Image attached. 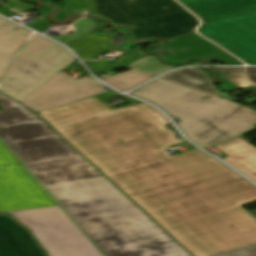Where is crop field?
Returning <instances> with one entry per match:
<instances>
[{
    "mask_svg": "<svg viewBox=\"0 0 256 256\" xmlns=\"http://www.w3.org/2000/svg\"><path fill=\"white\" fill-rule=\"evenodd\" d=\"M108 92L38 113L193 256H216L256 245V218L239 205L256 187L195 149L168 156L183 143L151 106L110 108Z\"/></svg>",
    "mask_w": 256,
    "mask_h": 256,
    "instance_id": "8a807250",
    "label": "crop field"
},
{
    "mask_svg": "<svg viewBox=\"0 0 256 256\" xmlns=\"http://www.w3.org/2000/svg\"><path fill=\"white\" fill-rule=\"evenodd\" d=\"M0 104V139L106 256H189L33 111Z\"/></svg>",
    "mask_w": 256,
    "mask_h": 256,
    "instance_id": "ac0d7876",
    "label": "crop field"
},
{
    "mask_svg": "<svg viewBox=\"0 0 256 256\" xmlns=\"http://www.w3.org/2000/svg\"><path fill=\"white\" fill-rule=\"evenodd\" d=\"M0 211L29 227L49 256H103L1 142Z\"/></svg>",
    "mask_w": 256,
    "mask_h": 256,
    "instance_id": "34b2d1b8",
    "label": "crop field"
},
{
    "mask_svg": "<svg viewBox=\"0 0 256 256\" xmlns=\"http://www.w3.org/2000/svg\"><path fill=\"white\" fill-rule=\"evenodd\" d=\"M129 94L178 118L176 125L202 148L239 136L256 125V111L252 109L160 78Z\"/></svg>",
    "mask_w": 256,
    "mask_h": 256,
    "instance_id": "412701ff",
    "label": "crop field"
},
{
    "mask_svg": "<svg viewBox=\"0 0 256 256\" xmlns=\"http://www.w3.org/2000/svg\"><path fill=\"white\" fill-rule=\"evenodd\" d=\"M94 12L112 25L129 24L138 37H174L194 32L198 20L174 0H93Z\"/></svg>",
    "mask_w": 256,
    "mask_h": 256,
    "instance_id": "f4fd0767",
    "label": "crop field"
},
{
    "mask_svg": "<svg viewBox=\"0 0 256 256\" xmlns=\"http://www.w3.org/2000/svg\"><path fill=\"white\" fill-rule=\"evenodd\" d=\"M74 60L66 49L34 33L1 80L0 92L19 101Z\"/></svg>",
    "mask_w": 256,
    "mask_h": 256,
    "instance_id": "dd49c442",
    "label": "crop field"
},
{
    "mask_svg": "<svg viewBox=\"0 0 256 256\" xmlns=\"http://www.w3.org/2000/svg\"><path fill=\"white\" fill-rule=\"evenodd\" d=\"M249 65H256V11L206 21L198 29Z\"/></svg>",
    "mask_w": 256,
    "mask_h": 256,
    "instance_id": "e52e79f7",
    "label": "crop field"
},
{
    "mask_svg": "<svg viewBox=\"0 0 256 256\" xmlns=\"http://www.w3.org/2000/svg\"><path fill=\"white\" fill-rule=\"evenodd\" d=\"M102 87L104 85L90 76L77 80L61 71L19 102L38 113L105 92Z\"/></svg>",
    "mask_w": 256,
    "mask_h": 256,
    "instance_id": "d8731c3e",
    "label": "crop field"
},
{
    "mask_svg": "<svg viewBox=\"0 0 256 256\" xmlns=\"http://www.w3.org/2000/svg\"><path fill=\"white\" fill-rule=\"evenodd\" d=\"M0 256H46L27 229L0 213Z\"/></svg>",
    "mask_w": 256,
    "mask_h": 256,
    "instance_id": "5a996713",
    "label": "crop field"
},
{
    "mask_svg": "<svg viewBox=\"0 0 256 256\" xmlns=\"http://www.w3.org/2000/svg\"><path fill=\"white\" fill-rule=\"evenodd\" d=\"M203 21L256 10V0H178Z\"/></svg>",
    "mask_w": 256,
    "mask_h": 256,
    "instance_id": "3316defc",
    "label": "crop field"
},
{
    "mask_svg": "<svg viewBox=\"0 0 256 256\" xmlns=\"http://www.w3.org/2000/svg\"><path fill=\"white\" fill-rule=\"evenodd\" d=\"M166 48L180 57H203L227 64H242L240 61L197 34L177 38L172 45L166 46Z\"/></svg>",
    "mask_w": 256,
    "mask_h": 256,
    "instance_id": "28ad6ade",
    "label": "crop field"
},
{
    "mask_svg": "<svg viewBox=\"0 0 256 256\" xmlns=\"http://www.w3.org/2000/svg\"><path fill=\"white\" fill-rule=\"evenodd\" d=\"M215 148L229 157L223 159L256 182V148L241 138L217 145Z\"/></svg>",
    "mask_w": 256,
    "mask_h": 256,
    "instance_id": "d1516ede",
    "label": "crop field"
},
{
    "mask_svg": "<svg viewBox=\"0 0 256 256\" xmlns=\"http://www.w3.org/2000/svg\"><path fill=\"white\" fill-rule=\"evenodd\" d=\"M29 33L30 31L0 18V76Z\"/></svg>",
    "mask_w": 256,
    "mask_h": 256,
    "instance_id": "22f410ed",
    "label": "crop field"
},
{
    "mask_svg": "<svg viewBox=\"0 0 256 256\" xmlns=\"http://www.w3.org/2000/svg\"><path fill=\"white\" fill-rule=\"evenodd\" d=\"M114 33L107 37H100L89 34L74 41H71L65 45L73 49L80 59H91L99 56L105 52L112 51V45L110 44Z\"/></svg>",
    "mask_w": 256,
    "mask_h": 256,
    "instance_id": "cbeb9de0",
    "label": "crop field"
},
{
    "mask_svg": "<svg viewBox=\"0 0 256 256\" xmlns=\"http://www.w3.org/2000/svg\"><path fill=\"white\" fill-rule=\"evenodd\" d=\"M160 78L167 79L179 84H183L195 89H199L211 94L220 96L211 85L206 75L198 70H192L190 68H183L175 70Z\"/></svg>",
    "mask_w": 256,
    "mask_h": 256,
    "instance_id": "5142ce71",
    "label": "crop field"
},
{
    "mask_svg": "<svg viewBox=\"0 0 256 256\" xmlns=\"http://www.w3.org/2000/svg\"><path fill=\"white\" fill-rule=\"evenodd\" d=\"M152 78L154 77L129 70L102 80L121 91H127Z\"/></svg>",
    "mask_w": 256,
    "mask_h": 256,
    "instance_id": "d9b57169",
    "label": "crop field"
},
{
    "mask_svg": "<svg viewBox=\"0 0 256 256\" xmlns=\"http://www.w3.org/2000/svg\"><path fill=\"white\" fill-rule=\"evenodd\" d=\"M125 68L133 69L136 71H140L146 74H150L153 76H158L159 74L173 68L170 66H166L162 64L156 57L154 56H145Z\"/></svg>",
    "mask_w": 256,
    "mask_h": 256,
    "instance_id": "733c2abd",
    "label": "crop field"
},
{
    "mask_svg": "<svg viewBox=\"0 0 256 256\" xmlns=\"http://www.w3.org/2000/svg\"><path fill=\"white\" fill-rule=\"evenodd\" d=\"M143 57L142 50L137 48L133 52H131L129 55H127L124 59L119 60L113 64L100 62V61H83L84 64L88 67V69L92 72L104 67L97 73H101L119 66L127 65L139 58Z\"/></svg>",
    "mask_w": 256,
    "mask_h": 256,
    "instance_id": "4a817a6b",
    "label": "crop field"
},
{
    "mask_svg": "<svg viewBox=\"0 0 256 256\" xmlns=\"http://www.w3.org/2000/svg\"><path fill=\"white\" fill-rule=\"evenodd\" d=\"M226 78L238 87L254 86L246 78L243 68L218 67Z\"/></svg>",
    "mask_w": 256,
    "mask_h": 256,
    "instance_id": "bc2a9ffb",
    "label": "crop field"
},
{
    "mask_svg": "<svg viewBox=\"0 0 256 256\" xmlns=\"http://www.w3.org/2000/svg\"><path fill=\"white\" fill-rule=\"evenodd\" d=\"M33 7L34 4L24 3L20 0H7L6 3L0 5V14L8 17L10 13L30 10Z\"/></svg>",
    "mask_w": 256,
    "mask_h": 256,
    "instance_id": "214f88e0",
    "label": "crop field"
},
{
    "mask_svg": "<svg viewBox=\"0 0 256 256\" xmlns=\"http://www.w3.org/2000/svg\"><path fill=\"white\" fill-rule=\"evenodd\" d=\"M25 25L42 33L51 24L48 23L45 18H35V20H33Z\"/></svg>",
    "mask_w": 256,
    "mask_h": 256,
    "instance_id": "92a150f3",
    "label": "crop field"
},
{
    "mask_svg": "<svg viewBox=\"0 0 256 256\" xmlns=\"http://www.w3.org/2000/svg\"><path fill=\"white\" fill-rule=\"evenodd\" d=\"M219 256H256V246L238 250L235 252L219 255Z\"/></svg>",
    "mask_w": 256,
    "mask_h": 256,
    "instance_id": "dafd665d",
    "label": "crop field"
},
{
    "mask_svg": "<svg viewBox=\"0 0 256 256\" xmlns=\"http://www.w3.org/2000/svg\"><path fill=\"white\" fill-rule=\"evenodd\" d=\"M163 49L165 51H167L168 53H167V55H164L161 58L167 62L178 64V63H181L182 61L186 60L185 58H179V57L175 56L169 50H167L165 47Z\"/></svg>",
    "mask_w": 256,
    "mask_h": 256,
    "instance_id": "00972430",
    "label": "crop field"
},
{
    "mask_svg": "<svg viewBox=\"0 0 256 256\" xmlns=\"http://www.w3.org/2000/svg\"><path fill=\"white\" fill-rule=\"evenodd\" d=\"M221 81L223 82V90H229V89H235L238 88L235 85H233L232 83H230L223 74L219 75Z\"/></svg>",
    "mask_w": 256,
    "mask_h": 256,
    "instance_id": "a9b5d70f",
    "label": "crop field"
},
{
    "mask_svg": "<svg viewBox=\"0 0 256 256\" xmlns=\"http://www.w3.org/2000/svg\"><path fill=\"white\" fill-rule=\"evenodd\" d=\"M249 79L256 84V67H247Z\"/></svg>",
    "mask_w": 256,
    "mask_h": 256,
    "instance_id": "4177f3b9",
    "label": "crop field"
},
{
    "mask_svg": "<svg viewBox=\"0 0 256 256\" xmlns=\"http://www.w3.org/2000/svg\"><path fill=\"white\" fill-rule=\"evenodd\" d=\"M126 37H128V38H138V37H136L134 34H133V35H130V36H126Z\"/></svg>",
    "mask_w": 256,
    "mask_h": 256,
    "instance_id": "730fd06b",
    "label": "crop field"
},
{
    "mask_svg": "<svg viewBox=\"0 0 256 256\" xmlns=\"http://www.w3.org/2000/svg\"><path fill=\"white\" fill-rule=\"evenodd\" d=\"M52 1H55V0H52Z\"/></svg>",
    "mask_w": 256,
    "mask_h": 256,
    "instance_id": "eef30255",
    "label": "crop field"
}]
</instances>
